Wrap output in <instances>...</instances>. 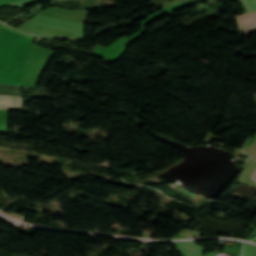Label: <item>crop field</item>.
I'll use <instances>...</instances> for the list:
<instances>
[{
    "instance_id": "obj_2",
    "label": "crop field",
    "mask_w": 256,
    "mask_h": 256,
    "mask_svg": "<svg viewBox=\"0 0 256 256\" xmlns=\"http://www.w3.org/2000/svg\"><path fill=\"white\" fill-rule=\"evenodd\" d=\"M20 100L21 97L0 95V108L20 110Z\"/></svg>"
},
{
    "instance_id": "obj_1",
    "label": "crop field",
    "mask_w": 256,
    "mask_h": 256,
    "mask_svg": "<svg viewBox=\"0 0 256 256\" xmlns=\"http://www.w3.org/2000/svg\"><path fill=\"white\" fill-rule=\"evenodd\" d=\"M237 17L239 28L248 36L250 31L256 30V12L242 14Z\"/></svg>"
},
{
    "instance_id": "obj_3",
    "label": "crop field",
    "mask_w": 256,
    "mask_h": 256,
    "mask_svg": "<svg viewBox=\"0 0 256 256\" xmlns=\"http://www.w3.org/2000/svg\"><path fill=\"white\" fill-rule=\"evenodd\" d=\"M183 256H200L197 251L190 245L189 242L174 243ZM214 256V255H209Z\"/></svg>"
},
{
    "instance_id": "obj_7",
    "label": "crop field",
    "mask_w": 256,
    "mask_h": 256,
    "mask_svg": "<svg viewBox=\"0 0 256 256\" xmlns=\"http://www.w3.org/2000/svg\"><path fill=\"white\" fill-rule=\"evenodd\" d=\"M204 1H207V0H194V1H190V2L193 3V4H197V3H200V2H204Z\"/></svg>"
},
{
    "instance_id": "obj_6",
    "label": "crop field",
    "mask_w": 256,
    "mask_h": 256,
    "mask_svg": "<svg viewBox=\"0 0 256 256\" xmlns=\"http://www.w3.org/2000/svg\"><path fill=\"white\" fill-rule=\"evenodd\" d=\"M166 1H169V0H155V1H152V2H155L157 4H161V3H164Z\"/></svg>"
},
{
    "instance_id": "obj_5",
    "label": "crop field",
    "mask_w": 256,
    "mask_h": 256,
    "mask_svg": "<svg viewBox=\"0 0 256 256\" xmlns=\"http://www.w3.org/2000/svg\"><path fill=\"white\" fill-rule=\"evenodd\" d=\"M249 12L256 11V0H246Z\"/></svg>"
},
{
    "instance_id": "obj_8",
    "label": "crop field",
    "mask_w": 256,
    "mask_h": 256,
    "mask_svg": "<svg viewBox=\"0 0 256 256\" xmlns=\"http://www.w3.org/2000/svg\"><path fill=\"white\" fill-rule=\"evenodd\" d=\"M253 178H254V180L256 181V173L254 174Z\"/></svg>"
},
{
    "instance_id": "obj_4",
    "label": "crop field",
    "mask_w": 256,
    "mask_h": 256,
    "mask_svg": "<svg viewBox=\"0 0 256 256\" xmlns=\"http://www.w3.org/2000/svg\"><path fill=\"white\" fill-rule=\"evenodd\" d=\"M243 151L251 155L256 160V141Z\"/></svg>"
}]
</instances>
